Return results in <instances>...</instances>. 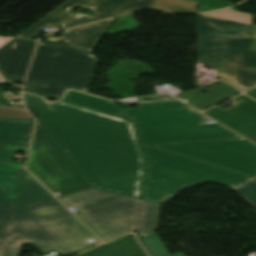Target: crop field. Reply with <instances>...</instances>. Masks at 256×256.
<instances>
[{"instance_id":"crop-field-1","label":"crop field","mask_w":256,"mask_h":256,"mask_svg":"<svg viewBox=\"0 0 256 256\" xmlns=\"http://www.w3.org/2000/svg\"><path fill=\"white\" fill-rule=\"evenodd\" d=\"M39 119L93 188L139 198L143 155L133 125L78 106L48 103Z\"/></svg>"},{"instance_id":"crop-field-2","label":"crop field","mask_w":256,"mask_h":256,"mask_svg":"<svg viewBox=\"0 0 256 256\" xmlns=\"http://www.w3.org/2000/svg\"><path fill=\"white\" fill-rule=\"evenodd\" d=\"M98 238L26 171L23 172L1 256H18L31 242L43 254L65 255L94 246Z\"/></svg>"},{"instance_id":"crop-field-3","label":"crop field","mask_w":256,"mask_h":256,"mask_svg":"<svg viewBox=\"0 0 256 256\" xmlns=\"http://www.w3.org/2000/svg\"><path fill=\"white\" fill-rule=\"evenodd\" d=\"M252 15L232 8L199 14L196 62L245 90L256 84V54L250 51Z\"/></svg>"},{"instance_id":"crop-field-4","label":"crop field","mask_w":256,"mask_h":256,"mask_svg":"<svg viewBox=\"0 0 256 256\" xmlns=\"http://www.w3.org/2000/svg\"><path fill=\"white\" fill-rule=\"evenodd\" d=\"M102 240L128 231L156 235L161 204L93 188L58 197ZM63 203V204H64Z\"/></svg>"},{"instance_id":"crop-field-5","label":"crop field","mask_w":256,"mask_h":256,"mask_svg":"<svg viewBox=\"0 0 256 256\" xmlns=\"http://www.w3.org/2000/svg\"><path fill=\"white\" fill-rule=\"evenodd\" d=\"M124 117L135 122L147 144L239 136L218 123L204 124L205 116L181 101L140 103Z\"/></svg>"},{"instance_id":"crop-field-6","label":"crop field","mask_w":256,"mask_h":256,"mask_svg":"<svg viewBox=\"0 0 256 256\" xmlns=\"http://www.w3.org/2000/svg\"><path fill=\"white\" fill-rule=\"evenodd\" d=\"M146 179L142 198L162 203L179 190L214 181L236 187L251 177L143 145Z\"/></svg>"},{"instance_id":"crop-field-7","label":"crop field","mask_w":256,"mask_h":256,"mask_svg":"<svg viewBox=\"0 0 256 256\" xmlns=\"http://www.w3.org/2000/svg\"><path fill=\"white\" fill-rule=\"evenodd\" d=\"M96 63L89 52L40 42L24 89L55 98L67 87L86 92Z\"/></svg>"},{"instance_id":"crop-field-8","label":"crop field","mask_w":256,"mask_h":256,"mask_svg":"<svg viewBox=\"0 0 256 256\" xmlns=\"http://www.w3.org/2000/svg\"><path fill=\"white\" fill-rule=\"evenodd\" d=\"M76 6L88 8L96 15L91 17L78 13L71 18L73 14L67 12ZM142 8H154L165 12L192 13L198 10V1L193 0H68L58 8L41 18L39 21L25 29L17 37L30 38L35 33L48 25L63 23L67 18L68 21L61 25L64 29L90 22L105 19L118 14L139 10Z\"/></svg>"},{"instance_id":"crop-field-9","label":"crop field","mask_w":256,"mask_h":256,"mask_svg":"<svg viewBox=\"0 0 256 256\" xmlns=\"http://www.w3.org/2000/svg\"><path fill=\"white\" fill-rule=\"evenodd\" d=\"M26 168L61 195L91 187L40 122L36 124Z\"/></svg>"},{"instance_id":"crop-field-10","label":"crop field","mask_w":256,"mask_h":256,"mask_svg":"<svg viewBox=\"0 0 256 256\" xmlns=\"http://www.w3.org/2000/svg\"><path fill=\"white\" fill-rule=\"evenodd\" d=\"M156 147L252 177L256 176V146L243 138L157 145Z\"/></svg>"},{"instance_id":"crop-field-11","label":"crop field","mask_w":256,"mask_h":256,"mask_svg":"<svg viewBox=\"0 0 256 256\" xmlns=\"http://www.w3.org/2000/svg\"><path fill=\"white\" fill-rule=\"evenodd\" d=\"M34 120L0 118V190L16 199L23 168L7 163L11 149L27 150Z\"/></svg>"},{"instance_id":"crop-field-12","label":"crop field","mask_w":256,"mask_h":256,"mask_svg":"<svg viewBox=\"0 0 256 256\" xmlns=\"http://www.w3.org/2000/svg\"><path fill=\"white\" fill-rule=\"evenodd\" d=\"M240 97L246 101L227 109L216 106L203 113L243 136L256 134V102L245 95Z\"/></svg>"},{"instance_id":"crop-field-13","label":"crop field","mask_w":256,"mask_h":256,"mask_svg":"<svg viewBox=\"0 0 256 256\" xmlns=\"http://www.w3.org/2000/svg\"><path fill=\"white\" fill-rule=\"evenodd\" d=\"M35 43L12 39L0 47V73L5 79L23 82Z\"/></svg>"},{"instance_id":"crop-field-14","label":"crop field","mask_w":256,"mask_h":256,"mask_svg":"<svg viewBox=\"0 0 256 256\" xmlns=\"http://www.w3.org/2000/svg\"><path fill=\"white\" fill-rule=\"evenodd\" d=\"M113 20L114 19H110L80 26L65 31L60 38L47 36L45 40L67 44L91 52Z\"/></svg>"},{"instance_id":"crop-field-15","label":"crop field","mask_w":256,"mask_h":256,"mask_svg":"<svg viewBox=\"0 0 256 256\" xmlns=\"http://www.w3.org/2000/svg\"><path fill=\"white\" fill-rule=\"evenodd\" d=\"M77 256H146V254L134 235L127 234Z\"/></svg>"},{"instance_id":"crop-field-16","label":"crop field","mask_w":256,"mask_h":256,"mask_svg":"<svg viewBox=\"0 0 256 256\" xmlns=\"http://www.w3.org/2000/svg\"><path fill=\"white\" fill-rule=\"evenodd\" d=\"M202 90H206L208 92L202 94ZM239 93L241 92L231 87L227 83L222 82L209 88H202L198 90L179 93L178 95L191 102L195 106L199 107L200 109L204 110Z\"/></svg>"},{"instance_id":"crop-field-17","label":"crop field","mask_w":256,"mask_h":256,"mask_svg":"<svg viewBox=\"0 0 256 256\" xmlns=\"http://www.w3.org/2000/svg\"><path fill=\"white\" fill-rule=\"evenodd\" d=\"M63 100L73 102L82 106L90 107L100 111L108 112L117 116H120L124 108L115 104V102L97 98L73 91H67L66 95L63 97Z\"/></svg>"},{"instance_id":"crop-field-18","label":"crop field","mask_w":256,"mask_h":256,"mask_svg":"<svg viewBox=\"0 0 256 256\" xmlns=\"http://www.w3.org/2000/svg\"><path fill=\"white\" fill-rule=\"evenodd\" d=\"M14 201L0 193V248Z\"/></svg>"},{"instance_id":"crop-field-19","label":"crop field","mask_w":256,"mask_h":256,"mask_svg":"<svg viewBox=\"0 0 256 256\" xmlns=\"http://www.w3.org/2000/svg\"><path fill=\"white\" fill-rule=\"evenodd\" d=\"M140 240L144 243V245L147 247L149 252L152 256H170L167 250L165 249L164 245L158 238V236L153 237H143L140 238ZM172 256H185L182 253H177Z\"/></svg>"},{"instance_id":"crop-field-20","label":"crop field","mask_w":256,"mask_h":256,"mask_svg":"<svg viewBox=\"0 0 256 256\" xmlns=\"http://www.w3.org/2000/svg\"><path fill=\"white\" fill-rule=\"evenodd\" d=\"M22 96L26 105L29 107L35 117L49 113V110L46 108L39 97L29 94H22Z\"/></svg>"},{"instance_id":"crop-field-21","label":"crop field","mask_w":256,"mask_h":256,"mask_svg":"<svg viewBox=\"0 0 256 256\" xmlns=\"http://www.w3.org/2000/svg\"><path fill=\"white\" fill-rule=\"evenodd\" d=\"M0 117L29 119L32 116L24 107L0 105Z\"/></svg>"},{"instance_id":"crop-field-22","label":"crop field","mask_w":256,"mask_h":256,"mask_svg":"<svg viewBox=\"0 0 256 256\" xmlns=\"http://www.w3.org/2000/svg\"><path fill=\"white\" fill-rule=\"evenodd\" d=\"M256 207V179L234 189Z\"/></svg>"},{"instance_id":"crop-field-23","label":"crop field","mask_w":256,"mask_h":256,"mask_svg":"<svg viewBox=\"0 0 256 256\" xmlns=\"http://www.w3.org/2000/svg\"><path fill=\"white\" fill-rule=\"evenodd\" d=\"M246 93L256 98V86L247 91Z\"/></svg>"},{"instance_id":"crop-field-24","label":"crop field","mask_w":256,"mask_h":256,"mask_svg":"<svg viewBox=\"0 0 256 256\" xmlns=\"http://www.w3.org/2000/svg\"><path fill=\"white\" fill-rule=\"evenodd\" d=\"M247 139H249L252 142L256 143V135L255 136H251V137H247Z\"/></svg>"},{"instance_id":"crop-field-25","label":"crop field","mask_w":256,"mask_h":256,"mask_svg":"<svg viewBox=\"0 0 256 256\" xmlns=\"http://www.w3.org/2000/svg\"><path fill=\"white\" fill-rule=\"evenodd\" d=\"M177 97H179L177 94H175ZM180 99H182L181 97H179ZM183 101H185L186 103H188L189 105H191L192 107H194L195 109L197 110H200L198 109L197 107H195L194 105L190 104L189 102H187L186 100L182 99Z\"/></svg>"},{"instance_id":"crop-field-26","label":"crop field","mask_w":256,"mask_h":256,"mask_svg":"<svg viewBox=\"0 0 256 256\" xmlns=\"http://www.w3.org/2000/svg\"><path fill=\"white\" fill-rule=\"evenodd\" d=\"M7 40H9V39H7V38H0V45L3 44L4 42H6Z\"/></svg>"},{"instance_id":"crop-field-27","label":"crop field","mask_w":256,"mask_h":256,"mask_svg":"<svg viewBox=\"0 0 256 256\" xmlns=\"http://www.w3.org/2000/svg\"><path fill=\"white\" fill-rule=\"evenodd\" d=\"M2 79H1V77H0V81H1Z\"/></svg>"}]
</instances>
